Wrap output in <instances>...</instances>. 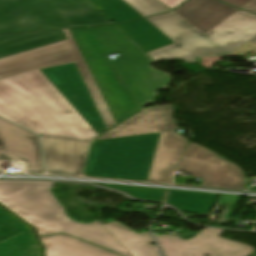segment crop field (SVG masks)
Listing matches in <instances>:
<instances>
[{
    "mask_svg": "<svg viewBox=\"0 0 256 256\" xmlns=\"http://www.w3.org/2000/svg\"><path fill=\"white\" fill-rule=\"evenodd\" d=\"M242 9L256 13V0H252L247 5H245Z\"/></svg>",
    "mask_w": 256,
    "mask_h": 256,
    "instance_id": "28",
    "label": "crop field"
},
{
    "mask_svg": "<svg viewBox=\"0 0 256 256\" xmlns=\"http://www.w3.org/2000/svg\"><path fill=\"white\" fill-rule=\"evenodd\" d=\"M143 17L169 11L155 0H123Z\"/></svg>",
    "mask_w": 256,
    "mask_h": 256,
    "instance_id": "23",
    "label": "crop field"
},
{
    "mask_svg": "<svg viewBox=\"0 0 256 256\" xmlns=\"http://www.w3.org/2000/svg\"><path fill=\"white\" fill-rule=\"evenodd\" d=\"M159 136L93 141L84 175L146 181Z\"/></svg>",
    "mask_w": 256,
    "mask_h": 256,
    "instance_id": "5",
    "label": "crop field"
},
{
    "mask_svg": "<svg viewBox=\"0 0 256 256\" xmlns=\"http://www.w3.org/2000/svg\"><path fill=\"white\" fill-rule=\"evenodd\" d=\"M147 20L192 58L229 54L256 36V16L241 10L206 35L174 12Z\"/></svg>",
    "mask_w": 256,
    "mask_h": 256,
    "instance_id": "4",
    "label": "crop field"
},
{
    "mask_svg": "<svg viewBox=\"0 0 256 256\" xmlns=\"http://www.w3.org/2000/svg\"><path fill=\"white\" fill-rule=\"evenodd\" d=\"M161 1L163 4H165L167 7H169L170 9L175 8L177 5H179L181 2H183L184 0H159ZM186 1V0H185ZM182 4V3H181Z\"/></svg>",
    "mask_w": 256,
    "mask_h": 256,
    "instance_id": "26",
    "label": "crop field"
},
{
    "mask_svg": "<svg viewBox=\"0 0 256 256\" xmlns=\"http://www.w3.org/2000/svg\"><path fill=\"white\" fill-rule=\"evenodd\" d=\"M237 10L216 0H189L174 12L206 34Z\"/></svg>",
    "mask_w": 256,
    "mask_h": 256,
    "instance_id": "13",
    "label": "crop field"
},
{
    "mask_svg": "<svg viewBox=\"0 0 256 256\" xmlns=\"http://www.w3.org/2000/svg\"><path fill=\"white\" fill-rule=\"evenodd\" d=\"M68 27L113 24L88 0H54Z\"/></svg>",
    "mask_w": 256,
    "mask_h": 256,
    "instance_id": "15",
    "label": "crop field"
},
{
    "mask_svg": "<svg viewBox=\"0 0 256 256\" xmlns=\"http://www.w3.org/2000/svg\"><path fill=\"white\" fill-rule=\"evenodd\" d=\"M70 30L117 123L141 108L106 55L120 56L112 62L142 108L155 101L157 92L171 83L172 78L153 69L150 65L155 61L116 26Z\"/></svg>",
    "mask_w": 256,
    "mask_h": 256,
    "instance_id": "2",
    "label": "crop field"
},
{
    "mask_svg": "<svg viewBox=\"0 0 256 256\" xmlns=\"http://www.w3.org/2000/svg\"><path fill=\"white\" fill-rule=\"evenodd\" d=\"M64 27L53 0H0V34Z\"/></svg>",
    "mask_w": 256,
    "mask_h": 256,
    "instance_id": "7",
    "label": "crop field"
},
{
    "mask_svg": "<svg viewBox=\"0 0 256 256\" xmlns=\"http://www.w3.org/2000/svg\"><path fill=\"white\" fill-rule=\"evenodd\" d=\"M109 188H114L116 190L122 191L132 197L139 199H149L162 201L164 197V190L153 189V188H137L131 186H121V185H108Z\"/></svg>",
    "mask_w": 256,
    "mask_h": 256,
    "instance_id": "21",
    "label": "crop field"
},
{
    "mask_svg": "<svg viewBox=\"0 0 256 256\" xmlns=\"http://www.w3.org/2000/svg\"><path fill=\"white\" fill-rule=\"evenodd\" d=\"M145 53L173 42L145 19L117 25Z\"/></svg>",
    "mask_w": 256,
    "mask_h": 256,
    "instance_id": "17",
    "label": "crop field"
},
{
    "mask_svg": "<svg viewBox=\"0 0 256 256\" xmlns=\"http://www.w3.org/2000/svg\"><path fill=\"white\" fill-rule=\"evenodd\" d=\"M66 39L63 30L2 35L0 36V58Z\"/></svg>",
    "mask_w": 256,
    "mask_h": 256,
    "instance_id": "14",
    "label": "crop field"
},
{
    "mask_svg": "<svg viewBox=\"0 0 256 256\" xmlns=\"http://www.w3.org/2000/svg\"><path fill=\"white\" fill-rule=\"evenodd\" d=\"M249 42L256 43V37H254L253 39H251Z\"/></svg>",
    "mask_w": 256,
    "mask_h": 256,
    "instance_id": "29",
    "label": "crop field"
},
{
    "mask_svg": "<svg viewBox=\"0 0 256 256\" xmlns=\"http://www.w3.org/2000/svg\"><path fill=\"white\" fill-rule=\"evenodd\" d=\"M98 134L107 130L74 63L40 70Z\"/></svg>",
    "mask_w": 256,
    "mask_h": 256,
    "instance_id": "9",
    "label": "crop field"
},
{
    "mask_svg": "<svg viewBox=\"0 0 256 256\" xmlns=\"http://www.w3.org/2000/svg\"><path fill=\"white\" fill-rule=\"evenodd\" d=\"M223 230L206 228L191 240L156 236L165 256H247L251 247L219 237Z\"/></svg>",
    "mask_w": 256,
    "mask_h": 256,
    "instance_id": "10",
    "label": "crop field"
},
{
    "mask_svg": "<svg viewBox=\"0 0 256 256\" xmlns=\"http://www.w3.org/2000/svg\"><path fill=\"white\" fill-rule=\"evenodd\" d=\"M42 243L81 256H118L62 234L40 238Z\"/></svg>",
    "mask_w": 256,
    "mask_h": 256,
    "instance_id": "19",
    "label": "crop field"
},
{
    "mask_svg": "<svg viewBox=\"0 0 256 256\" xmlns=\"http://www.w3.org/2000/svg\"><path fill=\"white\" fill-rule=\"evenodd\" d=\"M3 161H17L29 173H43L38 136L0 118V171Z\"/></svg>",
    "mask_w": 256,
    "mask_h": 256,
    "instance_id": "11",
    "label": "crop field"
},
{
    "mask_svg": "<svg viewBox=\"0 0 256 256\" xmlns=\"http://www.w3.org/2000/svg\"><path fill=\"white\" fill-rule=\"evenodd\" d=\"M217 196L218 194L170 191L166 202L183 212L210 213Z\"/></svg>",
    "mask_w": 256,
    "mask_h": 256,
    "instance_id": "18",
    "label": "crop field"
},
{
    "mask_svg": "<svg viewBox=\"0 0 256 256\" xmlns=\"http://www.w3.org/2000/svg\"><path fill=\"white\" fill-rule=\"evenodd\" d=\"M45 256H77L53 247H45Z\"/></svg>",
    "mask_w": 256,
    "mask_h": 256,
    "instance_id": "25",
    "label": "crop field"
},
{
    "mask_svg": "<svg viewBox=\"0 0 256 256\" xmlns=\"http://www.w3.org/2000/svg\"><path fill=\"white\" fill-rule=\"evenodd\" d=\"M172 106L144 109L98 139L161 132L147 181L171 183V174L180 159L187 139L174 132L178 129Z\"/></svg>",
    "mask_w": 256,
    "mask_h": 256,
    "instance_id": "6",
    "label": "crop field"
},
{
    "mask_svg": "<svg viewBox=\"0 0 256 256\" xmlns=\"http://www.w3.org/2000/svg\"><path fill=\"white\" fill-rule=\"evenodd\" d=\"M221 1L227 2L233 6L241 8L251 0H221Z\"/></svg>",
    "mask_w": 256,
    "mask_h": 256,
    "instance_id": "27",
    "label": "crop field"
},
{
    "mask_svg": "<svg viewBox=\"0 0 256 256\" xmlns=\"http://www.w3.org/2000/svg\"><path fill=\"white\" fill-rule=\"evenodd\" d=\"M51 182L0 181V203L30 225L38 236L64 233L104 246L120 255L131 256L98 222H74L53 197Z\"/></svg>",
    "mask_w": 256,
    "mask_h": 256,
    "instance_id": "3",
    "label": "crop field"
},
{
    "mask_svg": "<svg viewBox=\"0 0 256 256\" xmlns=\"http://www.w3.org/2000/svg\"><path fill=\"white\" fill-rule=\"evenodd\" d=\"M19 219L0 207V256H40V249L29 231Z\"/></svg>",
    "mask_w": 256,
    "mask_h": 256,
    "instance_id": "12",
    "label": "crop field"
},
{
    "mask_svg": "<svg viewBox=\"0 0 256 256\" xmlns=\"http://www.w3.org/2000/svg\"><path fill=\"white\" fill-rule=\"evenodd\" d=\"M147 54L155 61L181 58L188 63L195 61L175 44L151 51Z\"/></svg>",
    "mask_w": 256,
    "mask_h": 256,
    "instance_id": "22",
    "label": "crop field"
},
{
    "mask_svg": "<svg viewBox=\"0 0 256 256\" xmlns=\"http://www.w3.org/2000/svg\"><path fill=\"white\" fill-rule=\"evenodd\" d=\"M177 170L189 172L203 180L201 186L242 189L245 177L233 163L199 145L189 143Z\"/></svg>",
    "mask_w": 256,
    "mask_h": 256,
    "instance_id": "8",
    "label": "crop field"
},
{
    "mask_svg": "<svg viewBox=\"0 0 256 256\" xmlns=\"http://www.w3.org/2000/svg\"><path fill=\"white\" fill-rule=\"evenodd\" d=\"M240 196H232V195H219L218 201L216 205L225 206V211L220 215L217 223L226 225L238 199Z\"/></svg>",
    "mask_w": 256,
    "mask_h": 256,
    "instance_id": "24",
    "label": "crop field"
},
{
    "mask_svg": "<svg viewBox=\"0 0 256 256\" xmlns=\"http://www.w3.org/2000/svg\"><path fill=\"white\" fill-rule=\"evenodd\" d=\"M89 1L114 24L142 17L122 0Z\"/></svg>",
    "mask_w": 256,
    "mask_h": 256,
    "instance_id": "20",
    "label": "crop field"
},
{
    "mask_svg": "<svg viewBox=\"0 0 256 256\" xmlns=\"http://www.w3.org/2000/svg\"><path fill=\"white\" fill-rule=\"evenodd\" d=\"M65 32L69 40L0 59V116L45 135L47 173L78 176L97 135L38 69L74 61L107 128L115 123L69 30Z\"/></svg>",
    "mask_w": 256,
    "mask_h": 256,
    "instance_id": "1",
    "label": "crop field"
},
{
    "mask_svg": "<svg viewBox=\"0 0 256 256\" xmlns=\"http://www.w3.org/2000/svg\"><path fill=\"white\" fill-rule=\"evenodd\" d=\"M132 256H160L150 233L136 234L132 229L113 221L103 225Z\"/></svg>",
    "mask_w": 256,
    "mask_h": 256,
    "instance_id": "16",
    "label": "crop field"
}]
</instances>
